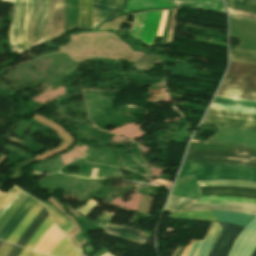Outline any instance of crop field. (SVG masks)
Returning <instances> with one entry per match:
<instances>
[{"instance_id": "crop-field-1", "label": "crop field", "mask_w": 256, "mask_h": 256, "mask_svg": "<svg viewBox=\"0 0 256 256\" xmlns=\"http://www.w3.org/2000/svg\"><path fill=\"white\" fill-rule=\"evenodd\" d=\"M186 159L189 162H223L256 167V151L239 146L191 144Z\"/></svg>"}, {"instance_id": "crop-field-2", "label": "crop field", "mask_w": 256, "mask_h": 256, "mask_svg": "<svg viewBox=\"0 0 256 256\" xmlns=\"http://www.w3.org/2000/svg\"><path fill=\"white\" fill-rule=\"evenodd\" d=\"M193 175L196 181L202 180H245L256 182V168L222 163H186L179 178ZM178 178V179H179Z\"/></svg>"}, {"instance_id": "crop-field-3", "label": "crop field", "mask_w": 256, "mask_h": 256, "mask_svg": "<svg viewBox=\"0 0 256 256\" xmlns=\"http://www.w3.org/2000/svg\"><path fill=\"white\" fill-rule=\"evenodd\" d=\"M216 95L256 100V65L230 62Z\"/></svg>"}, {"instance_id": "crop-field-4", "label": "crop field", "mask_w": 256, "mask_h": 256, "mask_svg": "<svg viewBox=\"0 0 256 256\" xmlns=\"http://www.w3.org/2000/svg\"><path fill=\"white\" fill-rule=\"evenodd\" d=\"M195 200H189L171 196L166 211L178 212V211H200V210H220V211H236L246 214L256 215V208L239 207L231 205H212V204H193Z\"/></svg>"}, {"instance_id": "crop-field-5", "label": "crop field", "mask_w": 256, "mask_h": 256, "mask_svg": "<svg viewBox=\"0 0 256 256\" xmlns=\"http://www.w3.org/2000/svg\"><path fill=\"white\" fill-rule=\"evenodd\" d=\"M217 128L219 131L213 134L204 143L239 145L256 150V132Z\"/></svg>"}, {"instance_id": "crop-field-6", "label": "crop field", "mask_w": 256, "mask_h": 256, "mask_svg": "<svg viewBox=\"0 0 256 256\" xmlns=\"http://www.w3.org/2000/svg\"><path fill=\"white\" fill-rule=\"evenodd\" d=\"M15 1V16L10 28L11 44H16L18 54L25 52V25H26V0H0Z\"/></svg>"}, {"instance_id": "crop-field-7", "label": "crop field", "mask_w": 256, "mask_h": 256, "mask_svg": "<svg viewBox=\"0 0 256 256\" xmlns=\"http://www.w3.org/2000/svg\"><path fill=\"white\" fill-rule=\"evenodd\" d=\"M223 227L208 256H227L236 237L243 227L230 223L219 222Z\"/></svg>"}, {"instance_id": "crop-field-8", "label": "crop field", "mask_w": 256, "mask_h": 256, "mask_svg": "<svg viewBox=\"0 0 256 256\" xmlns=\"http://www.w3.org/2000/svg\"><path fill=\"white\" fill-rule=\"evenodd\" d=\"M114 215L115 213L113 212L109 213L104 211L96 223L103 227L107 234L144 245V243L147 241V238L137 236L139 229L109 224Z\"/></svg>"}, {"instance_id": "crop-field-9", "label": "crop field", "mask_w": 256, "mask_h": 256, "mask_svg": "<svg viewBox=\"0 0 256 256\" xmlns=\"http://www.w3.org/2000/svg\"><path fill=\"white\" fill-rule=\"evenodd\" d=\"M123 0H99V24L118 16ZM98 26V0H93V28Z\"/></svg>"}, {"instance_id": "crop-field-10", "label": "crop field", "mask_w": 256, "mask_h": 256, "mask_svg": "<svg viewBox=\"0 0 256 256\" xmlns=\"http://www.w3.org/2000/svg\"><path fill=\"white\" fill-rule=\"evenodd\" d=\"M202 124L256 131V122L206 115Z\"/></svg>"}, {"instance_id": "crop-field-11", "label": "crop field", "mask_w": 256, "mask_h": 256, "mask_svg": "<svg viewBox=\"0 0 256 256\" xmlns=\"http://www.w3.org/2000/svg\"><path fill=\"white\" fill-rule=\"evenodd\" d=\"M202 195L244 197L256 199V190L232 187H200Z\"/></svg>"}, {"instance_id": "crop-field-12", "label": "crop field", "mask_w": 256, "mask_h": 256, "mask_svg": "<svg viewBox=\"0 0 256 256\" xmlns=\"http://www.w3.org/2000/svg\"><path fill=\"white\" fill-rule=\"evenodd\" d=\"M38 201L35 198L29 196L26 201L17 209L11 219L8 221L7 225L0 232V239L6 241L7 237L11 234L20 220L27 214L34 203ZM22 221V220H21Z\"/></svg>"}, {"instance_id": "crop-field-13", "label": "crop field", "mask_w": 256, "mask_h": 256, "mask_svg": "<svg viewBox=\"0 0 256 256\" xmlns=\"http://www.w3.org/2000/svg\"><path fill=\"white\" fill-rule=\"evenodd\" d=\"M62 232H60L55 224L46 232L43 238L39 241V243L35 246L34 250L48 253L54 249V247L61 242V240L65 237Z\"/></svg>"}, {"instance_id": "crop-field-14", "label": "crop field", "mask_w": 256, "mask_h": 256, "mask_svg": "<svg viewBox=\"0 0 256 256\" xmlns=\"http://www.w3.org/2000/svg\"><path fill=\"white\" fill-rule=\"evenodd\" d=\"M43 206L38 201L32 207V209L28 212V214L22 219V221L18 224L15 230L12 232L10 237L7 239L8 242L15 244L18 238L23 234L31 221L36 217V215L42 210Z\"/></svg>"}, {"instance_id": "crop-field-15", "label": "crop field", "mask_w": 256, "mask_h": 256, "mask_svg": "<svg viewBox=\"0 0 256 256\" xmlns=\"http://www.w3.org/2000/svg\"><path fill=\"white\" fill-rule=\"evenodd\" d=\"M175 7L167 0H128L123 13L129 10H143L151 8Z\"/></svg>"}, {"instance_id": "crop-field-16", "label": "crop field", "mask_w": 256, "mask_h": 256, "mask_svg": "<svg viewBox=\"0 0 256 256\" xmlns=\"http://www.w3.org/2000/svg\"><path fill=\"white\" fill-rule=\"evenodd\" d=\"M175 5H186L225 13L221 0H171Z\"/></svg>"}, {"instance_id": "crop-field-17", "label": "crop field", "mask_w": 256, "mask_h": 256, "mask_svg": "<svg viewBox=\"0 0 256 256\" xmlns=\"http://www.w3.org/2000/svg\"><path fill=\"white\" fill-rule=\"evenodd\" d=\"M215 219L245 227L255 216L235 212L211 211Z\"/></svg>"}, {"instance_id": "crop-field-18", "label": "crop field", "mask_w": 256, "mask_h": 256, "mask_svg": "<svg viewBox=\"0 0 256 256\" xmlns=\"http://www.w3.org/2000/svg\"><path fill=\"white\" fill-rule=\"evenodd\" d=\"M79 28L92 29V0H79Z\"/></svg>"}, {"instance_id": "crop-field-19", "label": "crop field", "mask_w": 256, "mask_h": 256, "mask_svg": "<svg viewBox=\"0 0 256 256\" xmlns=\"http://www.w3.org/2000/svg\"><path fill=\"white\" fill-rule=\"evenodd\" d=\"M48 212L46 211L45 207L44 209L38 214V216L32 221L30 226L27 228V230L24 232V234L19 238V240L16 242V245H20L25 247L27 241L30 239V237L34 234L38 226L43 222V220L48 216Z\"/></svg>"}, {"instance_id": "crop-field-20", "label": "crop field", "mask_w": 256, "mask_h": 256, "mask_svg": "<svg viewBox=\"0 0 256 256\" xmlns=\"http://www.w3.org/2000/svg\"><path fill=\"white\" fill-rule=\"evenodd\" d=\"M28 197L25 193L22 191L13 199V201L10 203V205L6 208V210L2 213L0 216V231L2 228L6 225L9 218L12 216V214L15 212V210L25 201V199Z\"/></svg>"}, {"instance_id": "crop-field-21", "label": "crop field", "mask_w": 256, "mask_h": 256, "mask_svg": "<svg viewBox=\"0 0 256 256\" xmlns=\"http://www.w3.org/2000/svg\"><path fill=\"white\" fill-rule=\"evenodd\" d=\"M207 114L256 121V114L209 108Z\"/></svg>"}, {"instance_id": "crop-field-22", "label": "crop field", "mask_w": 256, "mask_h": 256, "mask_svg": "<svg viewBox=\"0 0 256 256\" xmlns=\"http://www.w3.org/2000/svg\"><path fill=\"white\" fill-rule=\"evenodd\" d=\"M213 103L256 109V101H249V100H242V99L216 96Z\"/></svg>"}, {"instance_id": "crop-field-23", "label": "crop field", "mask_w": 256, "mask_h": 256, "mask_svg": "<svg viewBox=\"0 0 256 256\" xmlns=\"http://www.w3.org/2000/svg\"><path fill=\"white\" fill-rule=\"evenodd\" d=\"M44 204L48 208L52 218L56 222V224L59 226V228L67 235L75 226L67 220L65 217H63L61 214H59L57 211H55L51 206L47 205L45 202Z\"/></svg>"}, {"instance_id": "crop-field-24", "label": "crop field", "mask_w": 256, "mask_h": 256, "mask_svg": "<svg viewBox=\"0 0 256 256\" xmlns=\"http://www.w3.org/2000/svg\"><path fill=\"white\" fill-rule=\"evenodd\" d=\"M172 218H182V219H198V220H215L210 211L201 212H178L170 213L168 215Z\"/></svg>"}, {"instance_id": "crop-field-25", "label": "crop field", "mask_w": 256, "mask_h": 256, "mask_svg": "<svg viewBox=\"0 0 256 256\" xmlns=\"http://www.w3.org/2000/svg\"><path fill=\"white\" fill-rule=\"evenodd\" d=\"M53 221L50 215L45 219V221L39 226L35 234L28 241L26 247L33 249L36 243L41 239V237L45 234V232L53 225Z\"/></svg>"}, {"instance_id": "crop-field-26", "label": "crop field", "mask_w": 256, "mask_h": 256, "mask_svg": "<svg viewBox=\"0 0 256 256\" xmlns=\"http://www.w3.org/2000/svg\"><path fill=\"white\" fill-rule=\"evenodd\" d=\"M226 3L230 8L256 13V0H226Z\"/></svg>"}, {"instance_id": "crop-field-27", "label": "crop field", "mask_w": 256, "mask_h": 256, "mask_svg": "<svg viewBox=\"0 0 256 256\" xmlns=\"http://www.w3.org/2000/svg\"><path fill=\"white\" fill-rule=\"evenodd\" d=\"M250 55L251 52L248 51L230 49V61L256 64V53L252 52L251 55V58L255 59H250Z\"/></svg>"}, {"instance_id": "crop-field-28", "label": "crop field", "mask_w": 256, "mask_h": 256, "mask_svg": "<svg viewBox=\"0 0 256 256\" xmlns=\"http://www.w3.org/2000/svg\"><path fill=\"white\" fill-rule=\"evenodd\" d=\"M70 242L67 236L63 239V241L56 246V248L51 252V255L59 256L68 246ZM74 248L72 244L60 255V256H70L74 252ZM71 256H78L76 251Z\"/></svg>"}, {"instance_id": "crop-field-29", "label": "crop field", "mask_w": 256, "mask_h": 256, "mask_svg": "<svg viewBox=\"0 0 256 256\" xmlns=\"http://www.w3.org/2000/svg\"><path fill=\"white\" fill-rule=\"evenodd\" d=\"M199 186H210V185H224V186H239V187H250L256 188L255 183L243 182V181H202L197 182Z\"/></svg>"}, {"instance_id": "crop-field-30", "label": "crop field", "mask_w": 256, "mask_h": 256, "mask_svg": "<svg viewBox=\"0 0 256 256\" xmlns=\"http://www.w3.org/2000/svg\"><path fill=\"white\" fill-rule=\"evenodd\" d=\"M145 15L146 13L135 15L134 25L131 30L130 36L137 39L139 38L142 28L144 26Z\"/></svg>"}, {"instance_id": "crop-field-31", "label": "crop field", "mask_w": 256, "mask_h": 256, "mask_svg": "<svg viewBox=\"0 0 256 256\" xmlns=\"http://www.w3.org/2000/svg\"><path fill=\"white\" fill-rule=\"evenodd\" d=\"M17 189V187H12L10 189V191L0 200V214L4 211V209L6 208L7 205H5V201L8 199V197ZM20 192V190H16L11 196L10 198L7 200L6 204H9L11 202V200Z\"/></svg>"}, {"instance_id": "crop-field-32", "label": "crop field", "mask_w": 256, "mask_h": 256, "mask_svg": "<svg viewBox=\"0 0 256 256\" xmlns=\"http://www.w3.org/2000/svg\"><path fill=\"white\" fill-rule=\"evenodd\" d=\"M201 200L239 201V202H249V203L256 204V200L243 199V198H230V197L202 196Z\"/></svg>"}, {"instance_id": "crop-field-33", "label": "crop field", "mask_w": 256, "mask_h": 256, "mask_svg": "<svg viewBox=\"0 0 256 256\" xmlns=\"http://www.w3.org/2000/svg\"><path fill=\"white\" fill-rule=\"evenodd\" d=\"M97 203L95 201H93L92 199L90 201H88L86 204L82 205L81 207H79L78 209H76L77 211H79L81 214L83 215H87L89 214L93 209H95L97 207Z\"/></svg>"}, {"instance_id": "crop-field-34", "label": "crop field", "mask_w": 256, "mask_h": 256, "mask_svg": "<svg viewBox=\"0 0 256 256\" xmlns=\"http://www.w3.org/2000/svg\"><path fill=\"white\" fill-rule=\"evenodd\" d=\"M33 162H35V161L33 159H31V160H27V161L18 163L16 166V169H15L14 173L11 175V177H20L19 170Z\"/></svg>"}, {"instance_id": "crop-field-35", "label": "crop field", "mask_w": 256, "mask_h": 256, "mask_svg": "<svg viewBox=\"0 0 256 256\" xmlns=\"http://www.w3.org/2000/svg\"><path fill=\"white\" fill-rule=\"evenodd\" d=\"M196 203L233 204V205H240V206L256 207V205H255V204H247V203H232V202H219V201H197Z\"/></svg>"}, {"instance_id": "crop-field-36", "label": "crop field", "mask_w": 256, "mask_h": 256, "mask_svg": "<svg viewBox=\"0 0 256 256\" xmlns=\"http://www.w3.org/2000/svg\"><path fill=\"white\" fill-rule=\"evenodd\" d=\"M228 11L231 14H235V15H240V16L256 19V14L247 13V12H243V11H239V10H234V9H230V8H228Z\"/></svg>"}, {"instance_id": "crop-field-37", "label": "crop field", "mask_w": 256, "mask_h": 256, "mask_svg": "<svg viewBox=\"0 0 256 256\" xmlns=\"http://www.w3.org/2000/svg\"><path fill=\"white\" fill-rule=\"evenodd\" d=\"M11 248L12 245L4 243L3 246L0 248V256H7Z\"/></svg>"}, {"instance_id": "crop-field-38", "label": "crop field", "mask_w": 256, "mask_h": 256, "mask_svg": "<svg viewBox=\"0 0 256 256\" xmlns=\"http://www.w3.org/2000/svg\"><path fill=\"white\" fill-rule=\"evenodd\" d=\"M166 13H167V11H163V13H162V18H161L160 27H159V30H158L157 35H156V36H158V37L161 36V33H162V31H163L164 24H165Z\"/></svg>"}, {"instance_id": "crop-field-39", "label": "crop field", "mask_w": 256, "mask_h": 256, "mask_svg": "<svg viewBox=\"0 0 256 256\" xmlns=\"http://www.w3.org/2000/svg\"><path fill=\"white\" fill-rule=\"evenodd\" d=\"M21 251H22V248L13 246V248L10 251V253L8 254V256H18Z\"/></svg>"}, {"instance_id": "crop-field-40", "label": "crop field", "mask_w": 256, "mask_h": 256, "mask_svg": "<svg viewBox=\"0 0 256 256\" xmlns=\"http://www.w3.org/2000/svg\"><path fill=\"white\" fill-rule=\"evenodd\" d=\"M29 253H30V251H29V250H25V249H23V251L20 253V255H19V256H27Z\"/></svg>"}, {"instance_id": "crop-field-41", "label": "crop field", "mask_w": 256, "mask_h": 256, "mask_svg": "<svg viewBox=\"0 0 256 256\" xmlns=\"http://www.w3.org/2000/svg\"><path fill=\"white\" fill-rule=\"evenodd\" d=\"M29 256H47V255H43V254H40V253H37V252H31L30 254H29Z\"/></svg>"}, {"instance_id": "crop-field-42", "label": "crop field", "mask_w": 256, "mask_h": 256, "mask_svg": "<svg viewBox=\"0 0 256 256\" xmlns=\"http://www.w3.org/2000/svg\"><path fill=\"white\" fill-rule=\"evenodd\" d=\"M251 256H256V248L254 249L253 253L251 254Z\"/></svg>"}, {"instance_id": "crop-field-43", "label": "crop field", "mask_w": 256, "mask_h": 256, "mask_svg": "<svg viewBox=\"0 0 256 256\" xmlns=\"http://www.w3.org/2000/svg\"><path fill=\"white\" fill-rule=\"evenodd\" d=\"M5 193H3L2 191H0V199L2 198V196L4 195Z\"/></svg>"}, {"instance_id": "crop-field-44", "label": "crop field", "mask_w": 256, "mask_h": 256, "mask_svg": "<svg viewBox=\"0 0 256 256\" xmlns=\"http://www.w3.org/2000/svg\"><path fill=\"white\" fill-rule=\"evenodd\" d=\"M3 242L0 241V247L2 246Z\"/></svg>"}]
</instances>
